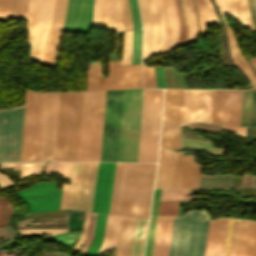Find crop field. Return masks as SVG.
Segmentation results:
<instances>
[{"mask_svg":"<svg viewBox=\"0 0 256 256\" xmlns=\"http://www.w3.org/2000/svg\"><path fill=\"white\" fill-rule=\"evenodd\" d=\"M184 1H185L186 13H187L188 24H189L188 44H190L192 42H198L199 33L197 28L193 0H184Z\"/></svg>","mask_w":256,"mask_h":256,"instance_id":"obj_38","label":"crop field"},{"mask_svg":"<svg viewBox=\"0 0 256 256\" xmlns=\"http://www.w3.org/2000/svg\"><path fill=\"white\" fill-rule=\"evenodd\" d=\"M177 152L172 187H190L195 156H182Z\"/></svg>","mask_w":256,"mask_h":256,"instance_id":"obj_26","label":"crop field"},{"mask_svg":"<svg viewBox=\"0 0 256 256\" xmlns=\"http://www.w3.org/2000/svg\"><path fill=\"white\" fill-rule=\"evenodd\" d=\"M70 166L71 162H59L58 172L69 179Z\"/></svg>","mask_w":256,"mask_h":256,"instance_id":"obj_62","label":"crop field"},{"mask_svg":"<svg viewBox=\"0 0 256 256\" xmlns=\"http://www.w3.org/2000/svg\"><path fill=\"white\" fill-rule=\"evenodd\" d=\"M144 87L156 88L154 67L142 64Z\"/></svg>","mask_w":256,"mask_h":256,"instance_id":"obj_51","label":"crop field"},{"mask_svg":"<svg viewBox=\"0 0 256 256\" xmlns=\"http://www.w3.org/2000/svg\"><path fill=\"white\" fill-rule=\"evenodd\" d=\"M142 87L140 65L120 67V61L110 62L106 89Z\"/></svg>","mask_w":256,"mask_h":256,"instance_id":"obj_18","label":"crop field"},{"mask_svg":"<svg viewBox=\"0 0 256 256\" xmlns=\"http://www.w3.org/2000/svg\"><path fill=\"white\" fill-rule=\"evenodd\" d=\"M242 91L214 90L211 123L239 125Z\"/></svg>","mask_w":256,"mask_h":256,"instance_id":"obj_13","label":"crop field"},{"mask_svg":"<svg viewBox=\"0 0 256 256\" xmlns=\"http://www.w3.org/2000/svg\"><path fill=\"white\" fill-rule=\"evenodd\" d=\"M57 166H58V162H48V164L44 167V171L47 174L56 172Z\"/></svg>","mask_w":256,"mask_h":256,"instance_id":"obj_66","label":"crop field"},{"mask_svg":"<svg viewBox=\"0 0 256 256\" xmlns=\"http://www.w3.org/2000/svg\"><path fill=\"white\" fill-rule=\"evenodd\" d=\"M105 89L101 61L90 63L87 73V90Z\"/></svg>","mask_w":256,"mask_h":256,"instance_id":"obj_35","label":"crop field"},{"mask_svg":"<svg viewBox=\"0 0 256 256\" xmlns=\"http://www.w3.org/2000/svg\"><path fill=\"white\" fill-rule=\"evenodd\" d=\"M223 23L227 29L230 52L233 57L236 68H240L245 77L248 79L252 87L256 86V77L248 66L235 37L233 28H228L224 14L231 15L227 0H215Z\"/></svg>","mask_w":256,"mask_h":256,"instance_id":"obj_20","label":"crop field"},{"mask_svg":"<svg viewBox=\"0 0 256 256\" xmlns=\"http://www.w3.org/2000/svg\"><path fill=\"white\" fill-rule=\"evenodd\" d=\"M81 231H74V232H70V233H66V234H62V235H55L53 237H45L48 239H51L53 241L56 242H60V243H64L66 245H69L71 247H73L75 241L77 240V238L79 237Z\"/></svg>","mask_w":256,"mask_h":256,"instance_id":"obj_47","label":"crop field"},{"mask_svg":"<svg viewBox=\"0 0 256 256\" xmlns=\"http://www.w3.org/2000/svg\"><path fill=\"white\" fill-rule=\"evenodd\" d=\"M148 221L135 219L129 256H143Z\"/></svg>","mask_w":256,"mask_h":256,"instance_id":"obj_30","label":"crop field"},{"mask_svg":"<svg viewBox=\"0 0 256 256\" xmlns=\"http://www.w3.org/2000/svg\"><path fill=\"white\" fill-rule=\"evenodd\" d=\"M82 92H61L55 160H77Z\"/></svg>","mask_w":256,"mask_h":256,"instance_id":"obj_4","label":"crop field"},{"mask_svg":"<svg viewBox=\"0 0 256 256\" xmlns=\"http://www.w3.org/2000/svg\"><path fill=\"white\" fill-rule=\"evenodd\" d=\"M138 1L143 25L142 62H144L155 53L156 25L151 0Z\"/></svg>","mask_w":256,"mask_h":256,"instance_id":"obj_21","label":"crop field"},{"mask_svg":"<svg viewBox=\"0 0 256 256\" xmlns=\"http://www.w3.org/2000/svg\"><path fill=\"white\" fill-rule=\"evenodd\" d=\"M184 90L165 89L162 125H181Z\"/></svg>","mask_w":256,"mask_h":256,"instance_id":"obj_22","label":"crop field"},{"mask_svg":"<svg viewBox=\"0 0 256 256\" xmlns=\"http://www.w3.org/2000/svg\"><path fill=\"white\" fill-rule=\"evenodd\" d=\"M44 163L45 162L0 163V166L2 168H14V170H20L21 179L30 175L40 174V170Z\"/></svg>","mask_w":256,"mask_h":256,"instance_id":"obj_36","label":"crop field"},{"mask_svg":"<svg viewBox=\"0 0 256 256\" xmlns=\"http://www.w3.org/2000/svg\"><path fill=\"white\" fill-rule=\"evenodd\" d=\"M18 231L21 233V236L35 235V234L54 235V234L66 232L67 229H25V230H18Z\"/></svg>","mask_w":256,"mask_h":256,"instance_id":"obj_53","label":"crop field"},{"mask_svg":"<svg viewBox=\"0 0 256 256\" xmlns=\"http://www.w3.org/2000/svg\"><path fill=\"white\" fill-rule=\"evenodd\" d=\"M250 126H256V91L253 90Z\"/></svg>","mask_w":256,"mask_h":256,"instance_id":"obj_63","label":"crop field"},{"mask_svg":"<svg viewBox=\"0 0 256 256\" xmlns=\"http://www.w3.org/2000/svg\"><path fill=\"white\" fill-rule=\"evenodd\" d=\"M234 219L227 218L222 256H228Z\"/></svg>","mask_w":256,"mask_h":256,"instance_id":"obj_50","label":"crop field"},{"mask_svg":"<svg viewBox=\"0 0 256 256\" xmlns=\"http://www.w3.org/2000/svg\"><path fill=\"white\" fill-rule=\"evenodd\" d=\"M176 152L160 147L155 187H171Z\"/></svg>","mask_w":256,"mask_h":256,"instance_id":"obj_25","label":"crop field"},{"mask_svg":"<svg viewBox=\"0 0 256 256\" xmlns=\"http://www.w3.org/2000/svg\"><path fill=\"white\" fill-rule=\"evenodd\" d=\"M55 0H29L26 16L29 58L42 65Z\"/></svg>","mask_w":256,"mask_h":256,"instance_id":"obj_8","label":"crop field"},{"mask_svg":"<svg viewBox=\"0 0 256 256\" xmlns=\"http://www.w3.org/2000/svg\"><path fill=\"white\" fill-rule=\"evenodd\" d=\"M157 88H166L163 67H155Z\"/></svg>","mask_w":256,"mask_h":256,"instance_id":"obj_60","label":"crop field"},{"mask_svg":"<svg viewBox=\"0 0 256 256\" xmlns=\"http://www.w3.org/2000/svg\"><path fill=\"white\" fill-rule=\"evenodd\" d=\"M60 92L27 91L21 161L54 160Z\"/></svg>","mask_w":256,"mask_h":256,"instance_id":"obj_1","label":"crop field"},{"mask_svg":"<svg viewBox=\"0 0 256 256\" xmlns=\"http://www.w3.org/2000/svg\"><path fill=\"white\" fill-rule=\"evenodd\" d=\"M89 216L90 213L86 212L85 215V221H84V227H83V232L77 242V244L75 245V247L73 248L74 250L78 251L79 247L81 246V244L83 243L84 239L87 236V232H88V224H89ZM83 245V244H82ZM81 248V247H80Z\"/></svg>","mask_w":256,"mask_h":256,"instance_id":"obj_59","label":"crop field"},{"mask_svg":"<svg viewBox=\"0 0 256 256\" xmlns=\"http://www.w3.org/2000/svg\"><path fill=\"white\" fill-rule=\"evenodd\" d=\"M120 217L107 215L103 244L98 252L104 253L111 247H116Z\"/></svg>","mask_w":256,"mask_h":256,"instance_id":"obj_31","label":"crop field"},{"mask_svg":"<svg viewBox=\"0 0 256 256\" xmlns=\"http://www.w3.org/2000/svg\"><path fill=\"white\" fill-rule=\"evenodd\" d=\"M173 217L158 216L152 256H167Z\"/></svg>","mask_w":256,"mask_h":256,"instance_id":"obj_24","label":"crop field"},{"mask_svg":"<svg viewBox=\"0 0 256 256\" xmlns=\"http://www.w3.org/2000/svg\"><path fill=\"white\" fill-rule=\"evenodd\" d=\"M106 91L83 92L78 160L100 161Z\"/></svg>","mask_w":256,"mask_h":256,"instance_id":"obj_3","label":"crop field"},{"mask_svg":"<svg viewBox=\"0 0 256 256\" xmlns=\"http://www.w3.org/2000/svg\"><path fill=\"white\" fill-rule=\"evenodd\" d=\"M106 215L98 214L94 239L87 251L88 254H96L103 239Z\"/></svg>","mask_w":256,"mask_h":256,"instance_id":"obj_40","label":"crop field"},{"mask_svg":"<svg viewBox=\"0 0 256 256\" xmlns=\"http://www.w3.org/2000/svg\"><path fill=\"white\" fill-rule=\"evenodd\" d=\"M125 30L133 28L127 0H120Z\"/></svg>","mask_w":256,"mask_h":256,"instance_id":"obj_56","label":"crop field"},{"mask_svg":"<svg viewBox=\"0 0 256 256\" xmlns=\"http://www.w3.org/2000/svg\"><path fill=\"white\" fill-rule=\"evenodd\" d=\"M211 142L180 137L179 149L191 150L201 149L207 153L223 157L226 149L210 146Z\"/></svg>","mask_w":256,"mask_h":256,"instance_id":"obj_32","label":"crop field"},{"mask_svg":"<svg viewBox=\"0 0 256 256\" xmlns=\"http://www.w3.org/2000/svg\"><path fill=\"white\" fill-rule=\"evenodd\" d=\"M11 204L0 196V226L9 224V217L13 214Z\"/></svg>","mask_w":256,"mask_h":256,"instance_id":"obj_45","label":"crop field"},{"mask_svg":"<svg viewBox=\"0 0 256 256\" xmlns=\"http://www.w3.org/2000/svg\"><path fill=\"white\" fill-rule=\"evenodd\" d=\"M143 89L124 90L118 161H137Z\"/></svg>","mask_w":256,"mask_h":256,"instance_id":"obj_7","label":"crop field"},{"mask_svg":"<svg viewBox=\"0 0 256 256\" xmlns=\"http://www.w3.org/2000/svg\"><path fill=\"white\" fill-rule=\"evenodd\" d=\"M188 189H162L160 200H179V199H192Z\"/></svg>","mask_w":256,"mask_h":256,"instance_id":"obj_42","label":"crop field"},{"mask_svg":"<svg viewBox=\"0 0 256 256\" xmlns=\"http://www.w3.org/2000/svg\"><path fill=\"white\" fill-rule=\"evenodd\" d=\"M224 130L236 132V135L245 140L244 127L221 125Z\"/></svg>","mask_w":256,"mask_h":256,"instance_id":"obj_61","label":"crop field"},{"mask_svg":"<svg viewBox=\"0 0 256 256\" xmlns=\"http://www.w3.org/2000/svg\"><path fill=\"white\" fill-rule=\"evenodd\" d=\"M134 28L141 27L136 0H128Z\"/></svg>","mask_w":256,"mask_h":256,"instance_id":"obj_57","label":"crop field"},{"mask_svg":"<svg viewBox=\"0 0 256 256\" xmlns=\"http://www.w3.org/2000/svg\"><path fill=\"white\" fill-rule=\"evenodd\" d=\"M158 215H179V201H160Z\"/></svg>","mask_w":256,"mask_h":256,"instance_id":"obj_44","label":"crop field"},{"mask_svg":"<svg viewBox=\"0 0 256 256\" xmlns=\"http://www.w3.org/2000/svg\"><path fill=\"white\" fill-rule=\"evenodd\" d=\"M246 256H256V222L251 221Z\"/></svg>","mask_w":256,"mask_h":256,"instance_id":"obj_49","label":"crop field"},{"mask_svg":"<svg viewBox=\"0 0 256 256\" xmlns=\"http://www.w3.org/2000/svg\"><path fill=\"white\" fill-rule=\"evenodd\" d=\"M180 24L179 47L187 44L188 24L185 13L184 1L175 0Z\"/></svg>","mask_w":256,"mask_h":256,"instance_id":"obj_39","label":"crop field"},{"mask_svg":"<svg viewBox=\"0 0 256 256\" xmlns=\"http://www.w3.org/2000/svg\"><path fill=\"white\" fill-rule=\"evenodd\" d=\"M67 0H56L43 65L54 67Z\"/></svg>","mask_w":256,"mask_h":256,"instance_id":"obj_19","label":"crop field"},{"mask_svg":"<svg viewBox=\"0 0 256 256\" xmlns=\"http://www.w3.org/2000/svg\"><path fill=\"white\" fill-rule=\"evenodd\" d=\"M132 30L126 31L124 35V50L121 65L131 64Z\"/></svg>","mask_w":256,"mask_h":256,"instance_id":"obj_46","label":"crop field"},{"mask_svg":"<svg viewBox=\"0 0 256 256\" xmlns=\"http://www.w3.org/2000/svg\"><path fill=\"white\" fill-rule=\"evenodd\" d=\"M213 90H185L182 125L194 121L210 123Z\"/></svg>","mask_w":256,"mask_h":256,"instance_id":"obj_14","label":"crop field"},{"mask_svg":"<svg viewBox=\"0 0 256 256\" xmlns=\"http://www.w3.org/2000/svg\"><path fill=\"white\" fill-rule=\"evenodd\" d=\"M14 0H0V20L11 19Z\"/></svg>","mask_w":256,"mask_h":256,"instance_id":"obj_52","label":"crop field"},{"mask_svg":"<svg viewBox=\"0 0 256 256\" xmlns=\"http://www.w3.org/2000/svg\"><path fill=\"white\" fill-rule=\"evenodd\" d=\"M240 223H241L240 219H235L229 256H236Z\"/></svg>","mask_w":256,"mask_h":256,"instance_id":"obj_55","label":"crop field"},{"mask_svg":"<svg viewBox=\"0 0 256 256\" xmlns=\"http://www.w3.org/2000/svg\"><path fill=\"white\" fill-rule=\"evenodd\" d=\"M226 218L210 220L204 256H221Z\"/></svg>","mask_w":256,"mask_h":256,"instance_id":"obj_27","label":"crop field"},{"mask_svg":"<svg viewBox=\"0 0 256 256\" xmlns=\"http://www.w3.org/2000/svg\"><path fill=\"white\" fill-rule=\"evenodd\" d=\"M157 25L156 56L163 53L165 25L160 0H152Z\"/></svg>","mask_w":256,"mask_h":256,"instance_id":"obj_34","label":"crop field"},{"mask_svg":"<svg viewBox=\"0 0 256 256\" xmlns=\"http://www.w3.org/2000/svg\"><path fill=\"white\" fill-rule=\"evenodd\" d=\"M27 2L28 0H16L13 18H24Z\"/></svg>","mask_w":256,"mask_h":256,"instance_id":"obj_58","label":"crop field"},{"mask_svg":"<svg viewBox=\"0 0 256 256\" xmlns=\"http://www.w3.org/2000/svg\"><path fill=\"white\" fill-rule=\"evenodd\" d=\"M30 224H56V225H67V223H56V222H41V223H29V224H22L18 226L30 225Z\"/></svg>","mask_w":256,"mask_h":256,"instance_id":"obj_67","label":"crop field"},{"mask_svg":"<svg viewBox=\"0 0 256 256\" xmlns=\"http://www.w3.org/2000/svg\"><path fill=\"white\" fill-rule=\"evenodd\" d=\"M252 90L243 91L240 125L249 126Z\"/></svg>","mask_w":256,"mask_h":256,"instance_id":"obj_41","label":"crop field"},{"mask_svg":"<svg viewBox=\"0 0 256 256\" xmlns=\"http://www.w3.org/2000/svg\"><path fill=\"white\" fill-rule=\"evenodd\" d=\"M196 11L202 37L204 38L207 26L219 23V20L211 6L209 0H195Z\"/></svg>","mask_w":256,"mask_h":256,"instance_id":"obj_28","label":"crop field"},{"mask_svg":"<svg viewBox=\"0 0 256 256\" xmlns=\"http://www.w3.org/2000/svg\"><path fill=\"white\" fill-rule=\"evenodd\" d=\"M92 26L113 31L124 30L118 0H94Z\"/></svg>","mask_w":256,"mask_h":256,"instance_id":"obj_16","label":"crop field"},{"mask_svg":"<svg viewBox=\"0 0 256 256\" xmlns=\"http://www.w3.org/2000/svg\"><path fill=\"white\" fill-rule=\"evenodd\" d=\"M116 163L99 168L92 211L108 214Z\"/></svg>","mask_w":256,"mask_h":256,"instance_id":"obj_17","label":"crop field"},{"mask_svg":"<svg viewBox=\"0 0 256 256\" xmlns=\"http://www.w3.org/2000/svg\"><path fill=\"white\" fill-rule=\"evenodd\" d=\"M233 12V16L239 21L242 27H250L251 31H256L249 14L247 0H228Z\"/></svg>","mask_w":256,"mask_h":256,"instance_id":"obj_33","label":"crop field"},{"mask_svg":"<svg viewBox=\"0 0 256 256\" xmlns=\"http://www.w3.org/2000/svg\"><path fill=\"white\" fill-rule=\"evenodd\" d=\"M165 25V47L164 53L178 47L179 24L174 0H161Z\"/></svg>","mask_w":256,"mask_h":256,"instance_id":"obj_23","label":"crop field"},{"mask_svg":"<svg viewBox=\"0 0 256 256\" xmlns=\"http://www.w3.org/2000/svg\"><path fill=\"white\" fill-rule=\"evenodd\" d=\"M62 190L56 188L55 182L37 183L17 194L27 203L31 213L59 209Z\"/></svg>","mask_w":256,"mask_h":256,"instance_id":"obj_12","label":"crop field"},{"mask_svg":"<svg viewBox=\"0 0 256 256\" xmlns=\"http://www.w3.org/2000/svg\"><path fill=\"white\" fill-rule=\"evenodd\" d=\"M141 29L133 30L132 64L140 63Z\"/></svg>","mask_w":256,"mask_h":256,"instance_id":"obj_48","label":"crop field"},{"mask_svg":"<svg viewBox=\"0 0 256 256\" xmlns=\"http://www.w3.org/2000/svg\"><path fill=\"white\" fill-rule=\"evenodd\" d=\"M25 105L0 110V161H20Z\"/></svg>","mask_w":256,"mask_h":256,"instance_id":"obj_10","label":"crop field"},{"mask_svg":"<svg viewBox=\"0 0 256 256\" xmlns=\"http://www.w3.org/2000/svg\"><path fill=\"white\" fill-rule=\"evenodd\" d=\"M161 189H155L151 215H157Z\"/></svg>","mask_w":256,"mask_h":256,"instance_id":"obj_64","label":"crop field"},{"mask_svg":"<svg viewBox=\"0 0 256 256\" xmlns=\"http://www.w3.org/2000/svg\"><path fill=\"white\" fill-rule=\"evenodd\" d=\"M157 216H151L145 256H151Z\"/></svg>","mask_w":256,"mask_h":256,"instance_id":"obj_54","label":"crop field"},{"mask_svg":"<svg viewBox=\"0 0 256 256\" xmlns=\"http://www.w3.org/2000/svg\"><path fill=\"white\" fill-rule=\"evenodd\" d=\"M134 219L121 217L116 256H128Z\"/></svg>","mask_w":256,"mask_h":256,"instance_id":"obj_29","label":"crop field"},{"mask_svg":"<svg viewBox=\"0 0 256 256\" xmlns=\"http://www.w3.org/2000/svg\"><path fill=\"white\" fill-rule=\"evenodd\" d=\"M98 162H72L64 208L91 211Z\"/></svg>","mask_w":256,"mask_h":256,"instance_id":"obj_9","label":"crop field"},{"mask_svg":"<svg viewBox=\"0 0 256 256\" xmlns=\"http://www.w3.org/2000/svg\"><path fill=\"white\" fill-rule=\"evenodd\" d=\"M208 219L205 211L175 217L169 256H203Z\"/></svg>","mask_w":256,"mask_h":256,"instance_id":"obj_5","label":"crop field"},{"mask_svg":"<svg viewBox=\"0 0 256 256\" xmlns=\"http://www.w3.org/2000/svg\"><path fill=\"white\" fill-rule=\"evenodd\" d=\"M15 185L6 175L0 173L1 189Z\"/></svg>","mask_w":256,"mask_h":256,"instance_id":"obj_65","label":"crop field"},{"mask_svg":"<svg viewBox=\"0 0 256 256\" xmlns=\"http://www.w3.org/2000/svg\"><path fill=\"white\" fill-rule=\"evenodd\" d=\"M93 0H68L63 31L88 34L91 28Z\"/></svg>","mask_w":256,"mask_h":256,"instance_id":"obj_15","label":"crop field"},{"mask_svg":"<svg viewBox=\"0 0 256 256\" xmlns=\"http://www.w3.org/2000/svg\"><path fill=\"white\" fill-rule=\"evenodd\" d=\"M123 90L107 91L101 161H117Z\"/></svg>","mask_w":256,"mask_h":256,"instance_id":"obj_11","label":"crop field"},{"mask_svg":"<svg viewBox=\"0 0 256 256\" xmlns=\"http://www.w3.org/2000/svg\"><path fill=\"white\" fill-rule=\"evenodd\" d=\"M156 163H117L109 214L148 219Z\"/></svg>","mask_w":256,"mask_h":256,"instance_id":"obj_2","label":"crop field"},{"mask_svg":"<svg viewBox=\"0 0 256 256\" xmlns=\"http://www.w3.org/2000/svg\"><path fill=\"white\" fill-rule=\"evenodd\" d=\"M162 89H144L138 161H157Z\"/></svg>","mask_w":256,"mask_h":256,"instance_id":"obj_6","label":"crop field"},{"mask_svg":"<svg viewBox=\"0 0 256 256\" xmlns=\"http://www.w3.org/2000/svg\"><path fill=\"white\" fill-rule=\"evenodd\" d=\"M62 187H63V193H62V200H61L60 209L63 208V205H64V199H65V193H66V187H67V185H66V184H63Z\"/></svg>","mask_w":256,"mask_h":256,"instance_id":"obj_68","label":"crop field"},{"mask_svg":"<svg viewBox=\"0 0 256 256\" xmlns=\"http://www.w3.org/2000/svg\"><path fill=\"white\" fill-rule=\"evenodd\" d=\"M251 60H249L250 61V63L252 64V66L254 67V69L256 70V58L255 59H253V58H250Z\"/></svg>","mask_w":256,"mask_h":256,"instance_id":"obj_69","label":"crop field"},{"mask_svg":"<svg viewBox=\"0 0 256 256\" xmlns=\"http://www.w3.org/2000/svg\"><path fill=\"white\" fill-rule=\"evenodd\" d=\"M180 126H162L160 145L178 149Z\"/></svg>","mask_w":256,"mask_h":256,"instance_id":"obj_37","label":"crop field"},{"mask_svg":"<svg viewBox=\"0 0 256 256\" xmlns=\"http://www.w3.org/2000/svg\"><path fill=\"white\" fill-rule=\"evenodd\" d=\"M250 221L242 220L237 256H245Z\"/></svg>","mask_w":256,"mask_h":256,"instance_id":"obj_43","label":"crop field"}]
</instances>
